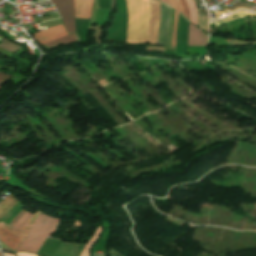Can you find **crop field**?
<instances>
[{"mask_svg": "<svg viewBox=\"0 0 256 256\" xmlns=\"http://www.w3.org/2000/svg\"><path fill=\"white\" fill-rule=\"evenodd\" d=\"M102 231L101 225H99L93 235V237L88 241L87 245L85 246L81 256H88L89 255V250L91 245L94 243V241L98 238L99 234ZM101 235V234H100Z\"/></svg>", "mask_w": 256, "mask_h": 256, "instance_id": "obj_11", "label": "crop field"}, {"mask_svg": "<svg viewBox=\"0 0 256 256\" xmlns=\"http://www.w3.org/2000/svg\"><path fill=\"white\" fill-rule=\"evenodd\" d=\"M0 47L6 49L8 51H11L13 53H15L16 51H18L21 48L18 45L6 40L3 37H1Z\"/></svg>", "mask_w": 256, "mask_h": 256, "instance_id": "obj_12", "label": "crop field"}, {"mask_svg": "<svg viewBox=\"0 0 256 256\" xmlns=\"http://www.w3.org/2000/svg\"><path fill=\"white\" fill-rule=\"evenodd\" d=\"M67 32L63 25L52 27L40 32L33 34V37L38 40L41 44L59 38L66 35Z\"/></svg>", "mask_w": 256, "mask_h": 256, "instance_id": "obj_5", "label": "crop field"}, {"mask_svg": "<svg viewBox=\"0 0 256 256\" xmlns=\"http://www.w3.org/2000/svg\"><path fill=\"white\" fill-rule=\"evenodd\" d=\"M170 3H171V6H173L174 9H176V5H175L174 1H173V0H170ZM176 10H177V9H176Z\"/></svg>", "mask_w": 256, "mask_h": 256, "instance_id": "obj_21", "label": "crop field"}, {"mask_svg": "<svg viewBox=\"0 0 256 256\" xmlns=\"http://www.w3.org/2000/svg\"><path fill=\"white\" fill-rule=\"evenodd\" d=\"M14 196L10 193L9 196L0 204V218L3 217L17 202Z\"/></svg>", "mask_w": 256, "mask_h": 256, "instance_id": "obj_9", "label": "crop field"}, {"mask_svg": "<svg viewBox=\"0 0 256 256\" xmlns=\"http://www.w3.org/2000/svg\"><path fill=\"white\" fill-rule=\"evenodd\" d=\"M18 256H37L29 253H17Z\"/></svg>", "mask_w": 256, "mask_h": 256, "instance_id": "obj_19", "label": "crop field"}, {"mask_svg": "<svg viewBox=\"0 0 256 256\" xmlns=\"http://www.w3.org/2000/svg\"><path fill=\"white\" fill-rule=\"evenodd\" d=\"M10 75L0 72V87L9 79Z\"/></svg>", "mask_w": 256, "mask_h": 256, "instance_id": "obj_16", "label": "crop field"}, {"mask_svg": "<svg viewBox=\"0 0 256 256\" xmlns=\"http://www.w3.org/2000/svg\"><path fill=\"white\" fill-rule=\"evenodd\" d=\"M129 14L127 43L156 44L160 6L153 0H126Z\"/></svg>", "mask_w": 256, "mask_h": 256, "instance_id": "obj_1", "label": "crop field"}, {"mask_svg": "<svg viewBox=\"0 0 256 256\" xmlns=\"http://www.w3.org/2000/svg\"><path fill=\"white\" fill-rule=\"evenodd\" d=\"M25 211V209H22L21 210V212L19 213V215L10 223V224H8V225H12L21 215H22V213Z\"/></svg>", "mask_w": 256, "mask_h": 256, "instance_id": "obj_18", "label": "crop field"}, {"mask_svg": "<svg viewBox=\"0 0 256 256\" xmlns=\"http://www.w3.org/2000/svg\"><path fill=\"white\" fill-rule=\"evenodd\" d=\"M161 1H163V2H165V3L170 5L169 0H161Z\"/></svg>", "mask_w": 256, "mask_h": 256, "instance_id": "obj_22", "label": "crop field"}, {"mask_svg": "<svg viewBox=\"0 0 256 256\" xmlns=\"http://www.w3.org/2000/svg\"><path fill=\"white\" fill-rule=\"evenodd\" d=\"M75 41H77V39H76V35L74 33V34H70L65 37H62L60 39L54 40L52 42H49V43L45 44V46L50 48V47L58 45L60 43L66 44V43L75 42Z\"/></svg>", "mask_w": 256, "mask_h": 256, "instance_id": "obj_10", "label": "crop field"}, {"mask_svg": "<svg viewBox=\"0 0 256 256\" xmlns=\"http://www.w3.org/2000/svg\"><path fill=\"white\" fill-rule=\"evenodd\" d=\"M177 18H178V12L175 11V16H174V31H173V43H172V46H175V41H176Z\"/></svg>", "mask_w": 256, "mask_h": 256, "instance_id": "obj_15", "label": "crop field"}, {"mask_svg": "<svg viewBox=\"0 0 256 256\" xmlns=\"http://www.w3.org/2000/svg\"><path fill=\"white\" fill-rule=\"evenodd\" d=\"M0 256H1V254H0Z\"/></svg>", "mask_w": 256, "mask_h": 256, "instance_id": "obj_24", "label": "crop field"}, {"mask_svg": "<svg viewBox=\"0 0 256 256\" xmlns=\"http://www.w3.org/2000/svg\"><path fill=\"white\" fill-rule=\"evenodd\" d=\"M161 5V24L159 30L158 44H167L169 23H170V7L164 3Z\"/></svg>", "mask_w": 256, "mask_h": 256, "instance_id": "obj_6", "label": "crop field"}, {"mask_svg": "<svg viewBox=\"0 0 256 256\" xmlns=\"http://www.w3.org/2000/svg\"><path fill=\"white\" fill-rule=\"evenodd\" d=\"M5 256H13L12 254L5 253Z\"/></svg>", "mask_w": 256, "mask_h": 256, "instance_id": "obj_23", "label": "crop field"}, {"mask_svg": "<svg viewBox=\"0 0 256 256\" xmlns=\"http://www.w3.org/2000/svg\"><path fill=\"white\" fill-rule=\"evenodd\" d=\"M185 1L188 5V9H189V13H190V22L197 25V11H196L195 4H194L193 0H185Z\"/></svg>", "mask_w": 256, "mask_h": 256, "instance_id": "obj_13", "label": "crop field"}, {"mask_svg": "<svg viewBox=\"0 0 256 256\" xmlns=\"http://www.w3.org/2000/svg\"><path fill=\"white\" fill-rule=\"evenodd\" d=\"M41 212L37 211L22 227L20 231H15L10 226L3 224L0 222L2 226L9 229L10 231L14 232L15 234L11 233L4 227L0 226V240L9 246L11 249L16 250L17 247L21 244L22 240L25 238L27 232L31 229L34 221L39 216Z\"/></svg>", "mask_w": 256, "mask_h": 256, "instance_id": "obj_3", "label": "crop field"}, {"mask_svg": "<svg viewBox=\"0 0 256 256\" xmlns=\"http://www.w3.org/2000/svg\"><path fill=\"white\" fill-rule=\"evenodd\" d=\"M59 221L41 213L17 251L37 253L44 240L54 232Z\"/></svg>", "mask_w": 256, "mask_h": 256, "instance_id": "obj_2", "label": "crop field"}, {"mask_svg": "<svg viewBox=\"0 0 256 256\" xmlns=\"http://www.w3.org/2000/svg\"><path fill=\"white\" fill-rule=\"evenodd\" d=\"M175 2H176V5H177L178 10L181 11V6H180L179 1H178V0H175ZM181 12H182V11H181Z\"/></svg>", "mask_w": 256, "mask_h": 256, "instance_id": "obj_20", "label": "crop field"}, {"mask_svg": "<svg viewBox=\"0 0 256 256\" xmlns=\"http://www.w3.org/2000/svg\"><path fill=\"white\" fill-rule=\"evenodd\" d=\"M31 216L32 214L25 212L11 227L18 231Z\"/></svg>", "mask_w": 256, "mask_h": 256, "instance_id": "obj_14", "label": "crop field"}, {"mask_svg": "<svg viewBox=\"0 0 256 256\" xmlns=\"http://www.w3.org/2000/svg\"><path fill=\"white\" fill-rule=\"evenodd\" d=\"M93 0H74L75 17L89 19Z\"/></svg>", "mask_w": 256, "mask_h": 256, "instance_id": "obj_8", "label": "crop field"}, {"mask_svg": "<svg viewBox=\"0 0 256 256\" xmlns=\"http://www.w3.org/2000/svg\"><path fill=\"white\" fill-rule=\"evenodd\" d=\"M182 5L183 14L189 19V13L187 11V6L184 0H179Z\"/></svg>", "mask_w": 256, "mask_h": 256, "instance_id": "obj_17", "label": "crop field"}, {"mask_svg": "<svg viewBox=\"0 0 256 256\" xmlns=\"http://www.w3.org/2000/svg\"><path fill=\"white\" fill-rule=\"evenodd\" d=\"M202 32L190 24L188 30V46L206 45L208 38Z\"/></svg>", "mask_w": 256, "mask_h": 256, "instance_id": "obj_7", "label": "crop field"}, {"mask_svg": "<svg viewBox=\"0 0 256 256\" xmlns=\"http://www.w3.org/2000/svg\"><path fill=\"white\" fill-rule=\"evenodd\" d=\"M56 6L57 11L68 31V33L75 32L74 25V5L73 0H51Z\"/></svg>", "mask_w": 256, "mask_h": 256, "instance_id": "obj_4", "label": "crop field"}]
</instances>
